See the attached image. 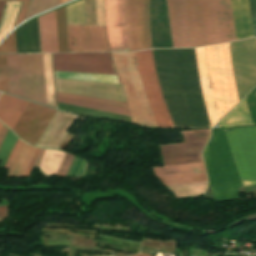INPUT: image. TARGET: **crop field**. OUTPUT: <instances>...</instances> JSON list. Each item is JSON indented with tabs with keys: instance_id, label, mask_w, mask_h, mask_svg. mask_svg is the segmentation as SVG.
<instances>
[{
	"instance_id": "obj_1",
	"label": "crop field",
	"mask_w": 256,
	"mask_h": 256,
	"mask_svg": "<svg viewBox=\"0 0 256 256\" xmlns=\"http://www.w3.org/2000/svg\"><path fill=\"white\" fill-rule=\"evenodd\" d=\"M243 187L256 185V135L253 126L224 130ZM221 129H212L203 155L214 201L241 198L237 169Z\"/></svg>"
},
{
	"instance_id": "obj_2",
	"label": "crop field",
	"mask_w": 256,
	"mask_h": 256,
	"mask_svg": "<svg viewBox=\"0 0 256 256\" xmlns=\"http://www.w3.org/2000/svg\"><path fill=\"white\" fill-rule=\"evenodd\" d=\"M152 52L159 85L175 127L210 126L194 49Z\"/></svg>"
},
{
	"instance_id": "obj_3",
	"label": "crop field",
	"mask_w": 256,
	"mask_h": 256,
	"mask_svg": "<svg viewBox=\"0 0 256 256\" xmlns=\"http://www.w3.org/2000/svg\"><path fill=\"white\" fill-rule=\"evenodd\" d=\"M28 104L29 101L2 94L0 120L12 130ZM55 112L56 109L30 102L12 131L23 140L35 145ZM76 118L77 116L58 110L36 146L58 149L68 133L67 129Z\"/></svg>"
},
{
	"instance_id": "obj_4",
	"label": "crop field",
	"mask_w": 256,
	"mask_h": 256,
	"mask_svg": "<svg viewBox=\"0 0 256 256\" xmlns=\"http://www.w3.org/2000/svg\"><path fill=\"white\" fill-rule=\"evenodd\" d=\"M173 48L214 44L207 0H167Z\"/></svg>"
},
{
	"instance_id": "obj_5",
	"label": "crop field",
	"mask_w": 256,
	"mask_h": 256,
	"mask_svg": "<svg viewBox=\"0 0 256 256\" xmlns=\"http://www.w3.org/2000/svg\"><path fill=\"white\" fill-rule=\"evenodd\" d=\"M10 93L46 105L42 54L7 55ZM6 55H0V90L9 93Z\"/></svg>"
},
{
	"instance_id": "obj_6",
	"label": "crop field",
	"mask_w": 256,
	"mask_h": 256,
	"mask_svg": "<svg viewBox=\"0 0 256 256\" xmlns=\"http://www.w3.org/2000/svg\"><path fill=\"white\" fill-rule=\"evenodd\" d=\"M209 81L219 120L238 102L227 43L206 46Z\"/></svg>"
},
{
	"instance_id": "obj_7",
	"label": "crop field",
	"mask_w": 256,
	"mask_h": 256,
	"mask_svg": "<svg viewBox=\"0 0 256 256\" xmlns=\"http://www.w3.org/2000/svg\"><path fill=\"white\" fill-rule=\"evenodd\" d=\"M111 55L128 105L131 122L156 127L140 84L133 52L111 53Z\"/></svg>"
},
{
	"instance_id": "obj_8",
	"label": "crop field",
	"mask_w": 256,
	"mask_h": 256,
	"mask_svg": "<svg viewBox=\"0 0 256 256\" xmlns=\"http://www.w3.org/2000/svg\"><path fill=\"white\" fill-rule=\"evenodd\" d=\"M142 87L147 95L157 127H174L166 109L157 77L151 50L134 52ZM145 95V96H146Z\"/></svg>"
},
{
	"instance_id": "obj_9",
	"label": "crop field",
	"mask_w": 256,
	"mask_h": 256,
	"mask_svg": "<svg viewBox=\"0 0 256 256\" xmlns=\"http://www.w3.org/2000/svg\"><path fill=\"white\" fill-rule=\"evenodd\" d=\"M183 143L160 145L164 166L202 162L200 153L209 136V129L182 131Z\"/></svg>"
},
{
	"instance_id": "obj_10",
	"label": "crop field",
	"mask_w": 256,
	"mask_h": 256,
	"mask_svg": "<svg viewBox=\"0 0 256 256\" xmlns=\"http://www.w3.org/2000/svg\"><path fill=\"white\" fill-rule=\"evenodd\" d=\"M55 71L116 75L109 53L53 54Z\"/></svg>"
},
{
	"instance_id": "obj_11",
	"label": "crop field",
	"mask_w": 256,
	"mask_h": 256,
	"mask_svg": "<svg viewBox=\"0 0 256 256\" xmlns=\"http://www.w3.org/2000/svg\"><path fill=\"white\" fill-rule=\"evenodd\" d=\"M139 1V25L143 49L151 48L149 26V0ZM138 25V2L126 0V26L130 51L142 49Z\"/></svg>"
},
{
	"instance_id": "obj_12",
	"label": "crop field",
	"mask_w": 256,
	"mask_h": 256,
	"mask_svg": "<svg viewBox=\"0 0 256 256\" xmlns=\"http://www.w3.org/2000/svg\"><path fill=\"white\" fill-rule=\"evenodd\" d=\"M67 31L69 52L110 51L105 26L67 25Z\"/></svg>"
},
{
	"instance_id": "obj_13",
	"label": "crop field",
	"mask_w": 256,
	"mask_h": 256,
	"mask_svg": "<svg viewBox=\"0 0 256 256\" xmlns=\"http://www.w3.org/2000/svg\"><path fill=\"white\" fill-rule=\"evenodd\" d=\"M108 41L111 51H129L125 26V0H104Z\"/></svg>"
},
{
	"instance_id": "obj_14",
	"label": "crop field",
	"mask_w": 256,
	"mask_h": 256,
	"mask_svg": "<svg viewBox=\"0 0 256 256\" xmlns=\"http://www.w3.org/2000/svg\"><path fill=\"white\" fill-rule=\"evenodd\" d=\"M215 44L236 40L230 0H208Z\"/></svg>"
},
{
	"instance_id": "obj_15",
	"label": "crop field",
	"mask_w": 256,
	"mask_h": 256,
	"mask_svg": "<svg viewBox=\"0 0 256 256\" xmlns=\"http://www.w3.org/2000/svg\"><path fill=\"white\" fill-rule=\"evenodd\" d=\"M163 185L189 183L207 180L203 163L184 164L168 167L151 166Z\"/></svg>"
},
{
	"instance_id": "obj_16",
	"label": "crop field",
	"mask_w": 256,
	"mask_h": 256,
	"mask_svg": "<svg viewBox=\"0 0 256 256\" xmlns=\"http://www.w3.org/2000/svg\"><path fill=\"white\" fill-rule=\"evenodd\" d=\"M152 48H172L166 0H150Z\"/></svg>"
},
{
	"instance_id": "obj_17",
	"label": "crop field",
	"mask_w": 256,
	"mask_h": 256,
	"mask_svg": "<svg viewBox=\"0 0 256 256\" xmlns=\"http://www.w3.org/2000/svg\"><path fill=\"white\" fill-rule=\"evenodd\" d=\"M237 40L253 37L248 0H231Z\"/></svg>"
},
{
	"instance_id": "obj_18",
	"label": "crop field",
	"mask_w": 256,
	"mask_h": 256,
	"mask_svg": "<svg viewBox=\"0 0 256 256\" xmlns=\"http://www.w3.org/2000/svg\"><path fill=\"white\" fill-rule=\"evenodd\" d=\"M41 52H58L54 11L38 17Z\"/></svg>"
},
{
	"instance_id": "obj_19",
	"label": "crop field",
	"mask_w": 256,
	"mask_h": 256,
	"mask_svg": "<svg viewBox=\"0 0 256 256\" xmlns=\"http://www.w3.org/2000/svg\"><path fill=\"white\" fill-rule=\"evenodd\" d=\"M195 51H196L200 81L203 89L205 106H206V110L209 116L211 126H213L214 124L217 123L218 119H217L216 110H215L211 89L208 81L204 50H203V47H201V48L195 49Z\"/></svg>"
},
{
	"instance_id": "obj_20",
	"label": "crop field",
	"mask_w": 256,
	"mask_h": 256,
	"mask_svg": "<svg viewBox=\"0 0 256 256\" xmlns=\"http://www.w3.org/2000/svg\"><path fill=\"white\" fill-rule=\"evenodd\" d=\"M34 148L21 142L15 158L6 174L7 177H21Z\"/></svg>"
},
{
	"instance_id": "obj_21",
	"label": "crop field",
	"mask_w": 256,
	"mask_h": 256,
	"mask_svg": "<svg viewBox=\"0 0 256 256\" xmlns=\"http://www.w3.org/2000/svg\"><path fill=\"white\" fill-rule=\"evenodd\" d=\"M65 153L46 150L39 165L41 173L45 176H56Z\"/></svg>"
},
{
	"instance_id": "obj_22",
	"label": "crop field",
	"mask_w": 256,
	"mask_h": 256,
	"mask_svg": "<svg viewBox=\"0 0 256 256\" xmlns=\"http://www.w3.org/2000/svg\"><path fill=\"white\" fill-rule=\"evenodd\" d=\"M244 124L252 125L245 100H243L233 111H231L220 122V125L223 127H234V126L244 125Z\"/></svg>"
},
{
	"instance_id": "obj_23",
	"label": "crop field",
	"mask_w": 256,
	"mask_h": 256,
	"mask_svg": "<svg viewBox=\"0 0 256 256\" xmlns=\"http://www.w3.org/2000/svg\"><path fill=\"white\" fill-rule=\"evenodd\" d=\"M47 105L56 108L51 54H43Z\"/></svg>"
},
{
	"instance_id": "obj_24",
	"label": "crop field",
	"mask_w": 256,
	"mask_h": 256,
	"mask_svg": "<svg viewBox=\"0 0 256 256\" xmlns=\"http://www.w3.org/2000/svg\"><path fill=\"white\" fill-rule=\"evenodd\" d=\"M55 78L119 84L116 76L55 72Z\"/></svg>"
},
{
	"instance_id": "obj_25",
	"label": "crop field",
	"mask_w": 256,
	"mask_h": 256,
	"mask_svg": "<svg viewBox=\"0 0 256 256\" xmlns=\"http://www.w3.org/2000/svg\"><path fill=\"white\" fill-rule=\"evenodd\" d=\"M165 187L171 190L175 197L201 195L207 187V181Z\"/></svg>"
},
{
	"instance_id": "obj_26",
	"label": "crop field",
	"mask_w": 256,
	"mask_h": 256,
	"mask_svg": "<svg viewBox=\"0 0 256 256\" xmlns=\"http://www.w3.org/2000/svg\"><path fill=\"white\" fill-rule=\"evenodd\" d=\"M20 3L7 1L0 22V40L13 26Z\"/></svg>"
},
{
	"instance_id": "obj_27",
	"label": "crop field",
	"mask_w": 256,
	"mask_h": 256,
	"mask_svg": "<svg viewBox=\"0 0 256 256\" xmlns=\"http://www.w3.org/2000/svg\"><path fill=\"white\" fill-rule=\"evenodd\" d=\"M59 52H68L64 6L55 10Z\"/></svg>"
},
{
	"instance_id": "obj_28",
	"label": "crop field",
	"mask_w": 256,
	"mask_h": 256,
	"mask_svg": "<svg viewBox=\"0 0 256 256\" xmlns=\"http://www.w3.org/2000/svg\"><path fill=\"white\" fill-rule=\"evenodd\" d=\"M57 101L129 116L128 111L125 108H119V107L97 104V103L59 97V96H57Z\"/></svg>"
},
{
	"instance_id": "obj_29",
	"label": "crop field",
	"mask_w": 256,
	"mask_h": 256,
	"mask_svg": "<svg viewBox=\"0 0 256 256\" xmlns=\"http://www.w3.org/2000/svg\"><path fill=\"white\" fill-rule=\"evenodd\" d=\"M58 1L59 0H31L25 19L56 6Z\"/></svg>"
},
{
	"instance_id": "obj_30",
	"label": "crop field",
	"mask_w": 256,
	"mask_h": 256,
	"mask_svg": "<svg viewBox=\"0 0 256 256\" xmlns=\"http://www.w3.org/2000/svg\"><path fill=\"white\" fill-rule=\"evenodd\" d=\"M18 138H16L10 131H8L7 136L0 147V159H2L0 167H4L5 162Z\"/></svg>"
},
{
	"instance_id": "obj_31",
	"label": "crop field",
	"mask_w": 256,
	"mask_h": 256,
	"mask_svg": "<svg viewBox=\"0 0 256 256\" xmlns=\"http://www.w3.org/2000/svg\"><path fill=\"white\" fill-rule=\"evenodd\" d=\"M57 95L126 108V104L123 103V102L104 100V99H98V98H91V97H85V96H79V95H72V94H66V93H60V92H57Z\"/></svg>"
},
{
	"instance_id": "obj_32",
	"label": "crop field",
	"mask_w": 256,
	"mask_h": 256,
	"mask_svg": "<svg viewBox=\"0 0 256 256\" xmlns=\"http://www.w3.org/2000/svg\"><path fill=\"white\" fill-rule=\"evenodd\" d=\"M86 25H96L95 0H84Z\"/></svg>"
},
{
	"instance_id": "obj_33",
	"label": "crop field",
	"mask_w": 256,
	"mask_h": 256,
	"mask_svg": "<svg viewBox=\"0 0 256 256\" xmlns=\"http://www.w3.org/2000/svg\"><path fill=\"white\" fill-rule=\"evenodd\" d=\"M245 100L250 111L252 123L253 125H256V88L251 90Z\"/></svg>"
},
{
	"instance_id": "obj_34",
	"label": "crop field",
	"mask_w": 256,
	"mask_h": 256,
	"mask_svg": "<svg viewBox=\"0 0 256 256\" xmlns=\"http://www.w3.org/2000/svg\"><path fill=\"white\" fill-rule=\"evenodd\" d=\"M0 53H16L14 32L0 45Z\"/></svg>"
},
{
	"instance_id": "obj_35",
	"label": "crop field",
	"mask_w": 256,
	"mask_h": 256,
	"mask_svg": "<svg viewBox=\"0 0 256 256\" xmlns=\"http://www.w3.org/2000/svg\"><path fill=\"white\" fill-rule=\"evenodd\" d=\"M72 158H73V155L68 154V153L66 154L57 176H64L65 175Z\"/></svg>"
},
{
	"instance_id": "obj_36",
	"label": "crop field",
	"mask_w": 256,
	"mask_h": 256,
	"mask_svg": "<svg viewBox=\"0 0 256 256\" xmlns=\"http://www.w3.org/2000/svg\"><path fill=\"white\" fill-rule=\"evenodd\" d=\"M40 150H41V149H38V148L35 149V151H34L32 157H31V159H30V161H29V164H28V166H27V169H26V171H25L23 177H28V176H29V174H30V172H31V170H32V168H33V164H34V162H35V160H36V158H37V156H38Z\"/></svg>"
},
{
	"instance_id": "obj_37",
	"label": "crop field",
	"mask_w": 256,
	"mask_h": 256,
	"mask_svg": "<svg viewBox=\"0 0 256 256\" xmlns=\"http://www.w3.org/2000/svg\"><path fill=\"white\" fill-rule=\"evenodd\" d=\"M29 2H30V0H23V3H22V6H21V9H20V12H19V16H18L16 25H17L19 22L23 21L24 16H25V13H26L27 8H28V5H29ZM16 25H15V26H16Z\"/></svg>"
},
{
	"instance_id": "obj_38",
	"label": "crop field",
	"mask_w": 256,
	"mask_h": 256,
	"mask_svg": "<svg viewBox=\"0 0 256 256\" xmlns=\"http://www.w3.org/2000/svg\"><path fill=\"white\" fill-rule=\"evenodd\" d=\"M20 142H21V140L18 139V141L16 142V144H15V146H14V148H13V150H12V152H11V154H10L8 160H7V163H6V165H5L6 168H9V166H10V164H11V161H12V159H13V156H14V154H15V152H16V150H17L19 144H20Z\"/></svg>"
},
{
	"instance_id": "obj_39",
	"label": "crop field",
	"mask_w": 256,
	"mask_h": 256,
	"mask_svg": "<svg viewBox=\"0 0 256 256\" xmlns=\"http://www.w3.org/2000/svg\"><path fill=\"white\" fill-rule=\"evenodd\" d=\"M8 129L5 128L4 126H2L1 130H0V145L2 144L5 136H6V133H7Z\"/></svg>"
},
{
	"instance_id": "obj_40",
	"label": "crop field",
	"mask_w": 256,
	"mask_h": 256,
	"mask_svg": "<svg viewBox=\"0 0 256 256\" xmlns=\"http://www.w3.org/2000/svg\"><path fill=\"white\" fill-rule=\"evenodd\" d=\"M44 151H45V150H43V149L41 150V152H40V154H39V156H38V159H37V161H36V163H35L36 166L39 165L40 160H41V158H42V156H43Z\"/></svg>"
},
{
	"instance_id": "obj_41",
	"label": "crop field",
	"mask_w": 256,
	"mask_h": 256,
	"mask_svg": "<svg viewBox=\"0 0 256 256\" xmlns=\"http://www.w3.org/2000/svg\"><path fill=\"white\" fill-rule=\"evenodd\" d=\"M5 2H6V1H0V16H1V14H2V11H3V8H4Z\"/></svg>"
},
{
	"instance_id": "obj_42",
	"label": "crop field",
	"mask_w": 256,
	"mask_h": 256,
	"mask_svg": "<svg viewBox=\"0 0 256 256\" xmlns=\"http://www.w3.org/2000/svg\"><path fill=\"white\" fill-rule=\"evenodd\" d=\"M4 215V207H0V216Z\"/></svg>"
},
{
	"instance_id": "obj_43",
	"label": "crop field",
	"mask_w": 256,
	"mask_h": 256,
	"mask_svg": "<svg viewBox=\"0 0 256 256\" xmlns=\"http://www.w3.org/2000/svg\"><path fill=\"white\" fill-rule=\"evenodd\" d=\"M66 1H69V0H60V1H59V4L64 3V2H66ZM59 4H58V5H59Z\"/></svg>"
},
{
	"instance_id": "obj_44",
	"label": "crop field",
	"mask_w": 256,
	"mask_h": 256,
	"mask_svg": "<svg viewBox=\"0 0 256 256\" xmlns=\"http://www.w3.org/2000/svg\"><path fill=\"white\" fill-rule=\"evenodd\" d=\"M134 256H142V255H134Z\"/></svg>"
},
{
	"instance_id": "obj_45",
	"label": "crop field",
	"mask_w": 256,
	"mask_h": 256,
	"mask_svg": "<svg viewBox=\"0 0 256 256\" xmlns=\"http://www.w3.org/2000/svg\"><path fill=\"white\" fill-rule=\"evenodd\" d=\"M2 124L0 123V128H1Z\"/></svg>"
},
{
	"instance_id": "obj_46",
	"label": "crop field",
	"mask_w": 256,
	"mask_h": 256,
	"mask_svg": "<svg viewBox=\"0 0 256 256\" xmlns=\"http://www.w3.org/2000/svg\"><path fill=\"white\" fill-rule=\"evenodd\" d=\"M18 1H22V0H18Z\"/></svg>"
},
{
	"instance_id": "obj_47",
	"label": "crop field",
	"mask_w": 256,
	"mask_h": 256,
	"mask_svg": "<svg viewBox=\"0 0 256 256\" xmlns=\"http://www.w3.org/2000/svg\"><path fill=\"white\" fill-rule=\"evenodd\" d=\"M255 131H256V127H255Z\"/></svg>"
},
{
	"instance_id": "obj_48",
	"label": "crop field",
	"mask_w": 256,
	"mask_h": 256,
	"mask_svg": "<svg viewBox=\"0 0 256 256\" xmlns=\"http://www.w3.org/2000/svg\"><path fill=\"white\" fill-rule=\"evenodd\" d=\"M1 94V93H0Z\"/></svg>"
}]
</instances>
